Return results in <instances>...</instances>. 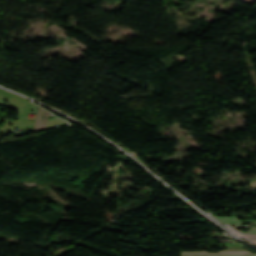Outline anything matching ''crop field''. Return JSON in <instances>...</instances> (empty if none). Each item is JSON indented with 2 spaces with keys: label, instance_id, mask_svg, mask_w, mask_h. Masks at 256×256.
Masks as SVG:
<instances>
[{
  "label": "crop field",
  "instance_id": "8a807250",
  "mask_svg": "<svg viewBox=\"0 0 256 256\" xmlns=\"http://www.w3.org/2000/svg\"><path fill=\"white\" fill-rule=\"evenodd\" d=\"M49 114H50L49 112H47L41 108L39 109L34 130L40 131V130H44L46 128V123H47Z\"/></svg>",
  "mask_w": 256,
  "mask_h": 256
},
{
  "label": "crop field",
  "instance_id": "ac0d7876",
  "mask_svg": "<svg viewBox=\"0 0 256 256\" xmlns=\"http://www.w3.org/2000/svg\"><path fill=\"white\" fill-rule=\"evenodd\" d=\"M221 253H251V252H249V251H221ZM182 254H220V253L183 252Z\"/></svg>",
  "mask_w": 256,
  "mask_h": 256
},
{
  "label": "crop field",
  "instance_id": "34b2d1b8",
  "mask_svg": "<svg viewBox=\"0 0 256 256\" xmlns=\"http://www.w3.org/2000/svg\"><path fill=\"white\" fill-rule=\"evenodd\" d=\"M214 218H228V217H214ZM222 224H240L239 219H217Z\"/></svg>",
  "mask_w": 256,
  "mask_h": 256
},
{
  "label": "crop field",
  "instance_id": "412701ff",
  "mask_svg": "<svg viewBox=\"0 0 256 256\" xmlns=\"http://www.w3.org/2000/svg\"><path fill=\"white\" fill-rule=\"evenodd\" d=\"M181 256H256V255L250 254V255H181Z\"/></svg>",
  "mask_w": 256,
  "mask_h": 256
},
{
  "label": "crop field",
  "instance_id": "f4fd0767",
  "mask_svg": "<svg viewBox=\"0 0 256 256\" xmlns=\"http://www.w3.org/2000/svg\"><path fill=\"white\" fill-rule=\"evenodd\" d=\"M243 1L252 4V3H254L256 0H243Z\"/></svg>",
  "mask_w": 256,
  "mask_h": 256
},
{
  "label": "crop field",
  "instance_id": "dd49c442",
  "mask_svg": "<svg viewBox=\"0 0 256 256\" xmlns=\"http://www.w3.org/2000/svg\"><path fill=\"white\" fill-rule=\"evenodd\" d=\"M241 233H245V232H241ZM248 233L256 234V230L249 231Z\"/></svg>",
  "mask_w": 256,
  "mask_h": 256
},
{
  "label": "crop field",
  "instance_id": "e52e79f7",
  "mask_svg": "<svg viewBox=\"0 0 256 256\" xmlns=\"http://www.w3.org/2000/svg\"><path fill=\"white\" fill-rule=\"evenodd\" d=\"M245 236H247V237H256V235H245Z\"/></svg>",
  "mask_w": 256,
  "mask_h": 256
},
{
  "label": "crop field",
  "instance_id": "d8731c3e",
  "mask_svg": "<svg viewBox=\"0 0 256 256\" xmlns=\"http://www.w3.org/2000/svg\"><path fill=\"white\" fill-rule=\"evenodd\" d=\"M233 228H249V227H233Z\"/></svg>",
  "mask_w": 256,
  "mask_h": 256
},
{
  "label": "crop field",
  "instance_id": "5a996713",
  "mask_svg": "<svg viewBox=\"0 0 256 256\" xmlns=\"http://www.w3.org/2000/svg\"><path fill=\"white\" fill-rule=\"evenodd\" d=\"M251 241H253L256 244V240H251Z\"/></svg>",
  "mask_w": 256,
  "mask_h": 256
},
{
  "label": "crop field",
  "instance_id": "3316defc",
  "mask_svg": "<svg viewBox=\"0 0 256 256\" xmlns=\"http://www.w3.org/2000/svg\"><path fill=\"white\" fill-rule=\"evenodd\" d=\"M254 185H256V184H252V185H250V186H254Z\"/></svg>",
  "mask_w": 256,
  "mask_h": 256
},
{
  "label": "crop field",
  "instance_id": "28ad6ade",
  "mask_svg": "<svg viewBox=\"0 0 256 256\" xmlns=\"http://www.w3.org/2000/svg\"><path fill=\"white\" fill-rule=\"evenodd\" d=\"M249 239H256V238H249Z\"/></svg>",
  "mask_w": 256,
  "mask_h": 256
}]
</instances>
